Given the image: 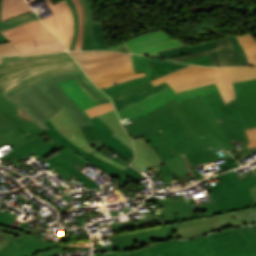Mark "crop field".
<instances>
[{
	"label": "crop field",
	"instance_id": "obj_1",
	"mask_svg": "<svg viewBox=\"0 0 256 256\" xmlns=\"http://www.w3.org/2000/svg\"><path fill=\"white\" fill-rule=\"evenodd\" d=\"M123 125L132 138L143 136L163 160L183 155L187 167L230 156L221 143L235 149L200 97L175 100ZM161 166L169 180L176 179L166 163Z\"/></svg>",
	"mask_w": 256,
	"mask_h": 256
},
{
	"label": "crop field",
	"instance_id": "obj_2",
	"mask_svg": "<svg viewBox=\"0 0 256 256\" xmlns=\"http://www.w3.org/2000/svg\"><path fill=\"white\" fill-rule=\"evenodd\" d=\"M84 75L82 70H79L45 77L21 89L8 99L18 105L43 130L48 129L44 123L63 106L82 127L90 124L89 120L74 103H70L72 101L56 82Z\"/></svg>",
	"mask_w": 256,
	"mask_h": 256
},
{
	"label": "crop field",
	"instance_id": "obj_3",
	"mask_svg": "<svg viewBox=\"0 0 256 256\" xmlns=\"http://www.w3.org/2000/svg\"><path fill=\"white\" fill-rule=\"evenodd\" d=\"M0 58V93L7 98L39 78L81 69L67 52Z\"/></svg>",
	"mask_w": 256,
	"mask_h": 256
},
{
	"label": "crop field",
	"instance_id": "obj_4",
	"mask_svg": "<svg viewBox=\"0 0 256 256\" xmlns=\"http://www.w3.org/2000/svg\"><path fill=\"white\" fill-rule=\"evenodd\" d=\"M99 52V55H96ZM81 65L85 74L100 88L145 76L135 74L131 55L114 51L69 52Z\"/></svg>",
	"mask_w": 256,
	"mask_h": 256
},
{
	"label": "crop field",
	"instance_id": "obj_5",
	"mask_svg": "<svg viewBox=\"0 0 256 256\" xmlns=\"http://www.w3.org/2000/svg\"><path fill=\"white\" fill-rule=\"evenodd\" d=\"M233 85L236 99L226 105L219 91L201 99L216 121L243 118L245 130L256 127V79Z\"/></svg>",
	"mask_w": 256,
	"mask_h": 256
},
{
	"label": "crop field",
	"instance_id": "obj_6",
	"mask_svg": "<svg viewBox=\"0 0 256 256\" xmlns=\"http://www.w3.org/2000/svg\"><path fill=\"white\" fill-rule=\"evenodd\" d=\"M167 81L176 92L211 84L216 82L225 103L234 99L233 85L228 67H205L189 65L174 73L152 81L156 86Z\"/></svg>",
	"mask_w": 256,
	"mask_h": 256
},
{
	"label": "crop field",
	"instance_id": "obj_7",
	"mask_svg": "<svg viewBox=\"0 0 256 256\" xmlns=\"http://www.w3.org/2000/svg\"><path fill=\"white\" fill-rule=\"evenodd\" d=\"M42 133L18 106L0 94V146L8 143L15 149Z\"/></svg>",
	"mask_w": 256,
	"mask_h": 256
},
{
	"label": "crop field",
	"instance_id": "obj_8",
	"mask_svg": "<svg viewBox=\"0 0 256 256\" xmlns=\"http://www.w3.org/2000/svg\"><path fill=\"white\" fill-rule=\"evenodd\" d=\"M217 177L221 183L206 189L211 193L221 213L255 206L249 189L256 184L254 175L247 174L248 178L240 180L235 171H232Z\"/></svg>",
	"mask_w": 256,
	"mask_h": 256
},
{
	"label": "crop field",
	"instance_id": "obj_9",
	"mask_svg": "<svg viewBox=\"0 0 256 256\" xmlns=\"http://www.w3.org/2000/svg\"><path fill=\"white\" fill-rule=\"evenodd\" d=\"M2 33L23 54L65 50L62 42L51 34L40 20L26 23Z\"/></svg>",
	"mask_w": 256,
	"mask_h": 256
},
{
	"label": "crop field",
	"instance_id": "obj_10",
	"mask_svg": "<svg viewBox=\"0 0 256 256\" xmlns=\"http://www.w3.org/2000/svg\"><path fill=\"white\" fill-rule=\"evenodd\" d=\"M214 256H256V234L243 226L207 235Z\"/></svg>",
	"mask_w": 256,
	"mask_h": 256
},
{
	"label": "crop field",
	"instance_id": "obj_11",
	"mask_svg": "<svg viewBox=\"0 0 256 256\" xmlns=\"http://www.w3.org/2000/svg\"><path fill=\"white\" fill-rule=\"evenodd\" d=\"M177 229H179L178 224H175L157 229L116 234L108 238L113 245L103 247L101 244H98L96 250L116 251L141 247L159 240L179 239L175 232Z\"/></svg>",
	"mask_w": 256,
	"mask_h": 256
},
{
	"label": "crop field",
	"instance_id": "obj_12",
	"mask_svg": "<svg viewBox=\"0 0 256 256\" xmlns=\"http://www.w3.org/2000/svg\"><path fill=\"white\" fill-rule=\"evenodd\" d=\"M214 91H218L215 83L179 93H176L171 87L141 103H138L126 110L119 112L118 114L121 119L128 117L131 121L174 99H176L178 102H181Z\"/></svg>",
	"mask_w": 256,
	"mask_h": 256
},
{
	"label": "crop field",
	"instance_id": "obj_13",
	"mask_svg": "<svg viewBox=\"0 0 256 256\" xmlns=\"http://www.w3.org/2000/svg\"><path fill=\"white\" fill-rule=\"evenodd\" d=\"M154 256H213L207 236L182 241H166L148 246Z\"/></svg>",
	"mask_w": 256,
	"mask_h": 256
},
{
	"label": "crop field",
	"instance_id": "obj_14",
	"mask_svg": "<svg viewBox=\"0 0 256 256\" xmlns=\"http://www.w3.org/2000/svg\"><path fill=\"white\" fill-rule=\"evenodd\" d=\"M240 225H247L246 219L235 220L232 214H224L217 217L180 223V230L176 232L180 239H186Z\"/></svg>",
	"mask_w": 256,
	"mask_h": 256
},
{
	"label": "crop field",
	"instance_id": "obj_15",
	"mask_svg": "<svg viewBox=\"0 0 256 256\" xmlns=\"http://www.w3.org/2000/svg\"><path fill=\"white\" fill-rule=\"evenodd\" d=\"M54 15L42 19V23L64 43L67 49L71 42L73 19L70 7L65 0L52 5L50 0H45Z\"/></svg>",
	"mask_w": 256,
	"mask_h": 256
},
{
	"label": "crop field",
	"instance_id": "obj_16",
	"mask_svg": "<svg viewBox=\"0 0 256 256\" xmlns=\"http://www.w3.org/2000/svg\"><path fill=\"white\" fill-rule=\"evenodd\" d=\"M126 47L139 55L159 56L157 51L183 45L170 38L163 30L151 32L125 42Z\"/></svg>",
	"mask_w": 256,
	"mask_h": 256
},
{
	"label": "crop field",
	"instance_id": "obj_17",
	"mask_svg": "<svg viewBox=\"0 0 256 256\" xmlns=\"http://www.w3.org/2000/svg\"><path fill=\"white\" fill-rule=\"evenodd\" d=\"M37 238L16 230L0 227V249L8 244L30 256H34L39 251H45L62 245L59 243H50Z\"/></svg>",
	"mask_w": 256,
	"mask_h": 256
},
{
	"label": "crop field",
	"instance_id": "obj_18",
	"mask_svg": "<svg viewBox=\"0 0 256 256\" xmlns=\"http://www.w3.org/2000/svg\"><path fill=\"white\" fill-rule=\"evenodd\" d=\"M50 129L45 131L56 143H58L61 146H64L65 148H69L71 150H75L76 153L84 157L86 160L94 164L95 166L99 167L109 175L117 178L119 181L124 183L125 185L130 183L131 181L137 179L135 176L128 174L124 172L121 169H118L92 155H89V153L85 152L84 150L80 149L76 145L70 143L68 140H66L57 130L56 128L50 123L48 120L45 123ZM116 179V180H117Z\"/></svg>",
	"mask_w": 256,
	"mask_h": 256
},
{
	"label": "crop field",
	"instance_id": "obj_19",
	"mask_svg": "<svg viewBox=\"0 0 256 256\" xmlns=\"http://www.w3.org/2000/svg\"><path fill=\"white\" fill-rule=\"evenodd\" d=\"M216 49H209L193 54H187L171 60L180 62L209 55L211 66L240 65L238 55L228 38L214 41Z\"/></svg>",
	"mask_w": 256,
	"mask_h": 256
},
{
	"label": "crop field",
	"instance_id": "obj_20",
	"mask_svg": "<svg viewBox=\"0 0 256 256\" xmlns=\"http://www.w3.org/2000/svg\"><path fill=\"white\" fill-rule=\"evenodd\" d=\"M49 120L70 142L76 144L90 154L96 151L86 141L78 122L67 112L64 107Z\"/></svg>",
	"mask_w": 256,
	"mask_h": 256
},
{
	"label": "crop field",
	"instance_id": "obj_21",
	"mask_svg": "<svg viewBox=\"0 0 256 256\" xmlns=\"http://www.w3.org/2000/svg\"><path fill=\"white\" fill-rule=\"evenodd\" d=\"M168 87H170V85L166 81L156 87L151 82H149L117 96H114L111 98V100L113 101L117 112H119Z\"/></svg>",
	"mask_w": 256,
	"mask_h": 256
},
{
	"label": "crop field",
	"instance_id": "obj_22",
	"mask_svg": "<svg viewBox=\"0 0 256 256\" xmlns=\"http://www.w3.org/2000/svg\"><path fill=\"white\" fill-rule=\"evenodd\" d=\"M133 141L136 152L133 167L142 171L163 164L161 157L143 137L135 138Z\"/></svg>",
	"mask_w": 256,
	"mask_h": 256
},
{
	"label": "crop field",
	"instance_id": "obj_23",
	"mask_svg": "<svg viewBox=\"0 0 256 256\" xmlns=\"http://www.w3.org/2000/svg\"><path fill=\"white\" fill-rule=\"evenodd\" d=\"M132 61L135 72L145 71L147 76L103 89V91L110 97L150 81L151 66L149 64L148 57L132 55Z\"/></svg>",
	"mask_w": 256,
	"mask_h": 256
},
{
	"label": "crop field",
	"instance_id": "obj_24",
	"mask_svg": "<svg viewBox=\"0 0 256 256\" xmlns=\"http://www.w3.org/2000/svg\"><path fill=\"white\" fill-rule=\"evenodd\" d=\"M92 121L94 124L91 125V127L93 128L95 134L103 144H105L112 150L120 153L126 159L133 161L134 151L132 149H130L124 143L114 138L111 135L113 132L106 126V124L101 119H99L98 117H95L92 119ZM130 156H132L133 158L132 159L128 158Z\"/></svg>",
	"mask_w": 256,
	"mask_h": 256
},
{
	"label": "crop field",
	"instance_id": "obj_25",
	"mask_svg": "<svg viewBox=\"0 0 256 256\" xmlns=\"http://www.w3.org/2000/svg\"><path fill=\"white\" fill-rule=\"evenodd\" d=\"M68 97L82 110L88 117L84 110L93 107L96 104L75 82L74 79L58 83ZM90 120L91 124L92 121Z\"/></svg>",
	"mask_w": 256,
	"mask_h": 256
},
{
	"label": "crop field",
	"instance_id": "obj_26",
	"mask_svg": "<svg viewBox=\"0 0 256 256\" xmlns=\"http://www.w3.org/2000/svg\"><path fill=\"white\" fill-rule=\"evenodd\" d=\"M218 124L223 129V131L225 132V134L230 139L233 145L238 144L241 150L248 148L246 143H248L249 140L243 130L242 119L221 121L218 122Z\"/></svg>",
	"mask_w": 256,
	"mask_h": 256
},
{
	"label": "crop field",
	"instance_id": "obj_27",
	"mask_svg": "<svg viewBox=\"0 0 256 256\" xmlns=\"http://www.w3.org/2000/svg\"><path fill=\"white\" fill-rule=\"evenodd\" d=\"M209 201L194 203L192 198L185 199L190 208L192 215H177L178 222L185 221L193 218L206 217L219 214L218 208L212 199L211 195L208 194Z\"/></svg>",
	"mask_w": 256,
	"mask_h": 256
},
{
	"label": "crop field",
	"instance_id": "obj_28",
	"mask_svg": "<svg viewBox=\"0 0 256 256\" xmlns=\"http://www.w3.org/2000/svg\"><path fill=\"white\" fill-rule=\"evenodd\" d=\"M147 201H156L164 207L167 224L177 222L176 214H191L184 199L155 200L154 196H151Z\"/></svg>",
	"mask_w": 256,
	"mask_h": 256
},
{
	"label": "crop field",
	"instance_id": "obj_29",
	"mask_svg": "<svg viewBox=\"0 0 256 256\" xmlns=\"http://www.w3.org/2000/svg\"><path fill=\"white\" fill-rule=\"evenodd\" d=\"M98 117L101 118L107 124V126L114 132L112 134L113 136H115L117 139L124 142L126 145L133 149L131 139L129 138L125 130L122 128L115 110L104 113Z\"/></svg>",
	"mask_w": 256,
	"mask_h": 256
},
{
	"label": "crop field",
	"instance_id": "obj_30",
	"mask_svg": "<svg viewBox=\"0 0 256 256\" xmlns=\"http://www.w3.org/2000/svg\"><path fill=\"white\" fill-rule=\"evenodd\" d=\"M33 12L25 0H2L1 2V21Z\"/></svg>",
	"mask_w": 256,
	"mask_h": 256
},
{
	"label": "crop field",
	"instance_id": "obj_31",
	"mask_svg": "<svg viewBox=\"0 0 256 256\" xmlns=\"http://www.w3.org/2000/svg\"><path fill=\"white\" fill-rule=\"evenodd\" d=\"M149 59L152 65L151 81L187 66L185 64L173 63L168 60L161 62V59L153 57H149Z\"/></svg>",
	"mask_w": 256,
	"mask_h": 256
},
{
	"label": "crop field",
	"instance_id": "obj_32",
	"mask_svg": "<svg viewBox=\"0 0 256 256\" xmlns=\"http://www.w3.org/2000/svg\"><path fill=\"white\" fill-rule=\"evenodd\" d=\"M81 3L85 12L84 38L82 50H93L90 31V25L95 23L93 18V12L90 9L91 5L88 3V0H81Z\"/></svg>",
	"mask_w": 256,
	"mask_h": 256
},
{
	"label": "crop field",
	"instance_id": "obj_33",
	"mask_svg": "<svg viewBox=\"0 0 256 256\" xmlns=\"http://www.w3.org/2000/svg\"><path fill=\"white\" fill-rule=\"evenodd\" d=\"M41 138V137H40ZM39 137L28 142L27 144L11 151L10 153L4 155L3 157H1L0 159L3 162H8L9 160H11L12 158H14L15 156L18 158H23L26 155L30 154L31 152H33L34 150H36L37 148H39L40 146L46 144L44 141H42Z\"/></svg>",
	"mask_w": 256,
	"mask_h": 256
},
{
	"label": "crop field",
	"instance_id": "obj_34",
	"mask_svg": "<svg viewBox=\"0 0 256 256\" xmlns=\"http://www.w3.org/2000/svg\"><path fill=\"white\" fill-rule=\"evenodd\" d=\"M209 48H215L213 41L209 42V43H205V44L192 46V47L180 46V47L160 51L158 53L162 57L171 58V57H175V56H179V55H183V54H187V53H193V52H196V51L209 49Z\"/></svg>",
	"mask_w": 256,
	"mask_h": 256
},
{
	"label": "crop field",
	"instance_id": "obj_35",
	"mask_svg": "<svg viewBox=\"0 0 256 256\" xmlns=\"http://www.w3.org/2000/svg\"><path fill=\"white\" fill-rule=\"evenodd\" d=\"M246 52L249 65L256 66V40L251 34L236 36Z\"/></svg>",
	"mask_w": 256,
	"mask_h": 256
},
{
	"label": "crop field",
	"instance_id": "obj_36",
	"mask_svg": "<svg viewBox=\"0 0 256 256\" xmlns=\"http://www.w3.org/2000/svg\"><path fill=\"white\" fill-rule=\"evenodd\" d=\"M59 157L68 162L70 165L78 170H82L87 164H90L84 158L76 154L74 151L64 149L60 153H57Z\"/></svg>",
	"mask_w": 256,
	"mask_h": 256
},
{
	"label": "crop field",
	"instance_id": "obj_37",
	"mask_svg": "<svg viewBox=\"0 0 256 256\" xmlns=\"http://www.w3.org/2000/svg\"><path fill=\"white\" fill-rule=\"evenodd\" d=\"M94 50L109 49V45L102 31L101 23L96 22L91 26Z\"/></svg>",
	"mask_w": 256,
	"mask_h": 256
},
{
	"label": "crop field",
	"instance_id": "obj_38",
	"mask_svg": "<svg viewBox=\"0 0 256 256\" xmlns=\"http://www.w3.org/2000/svg\"><path fill=\"white\" fill-rule=\"evenodd\" d=\"M232 80L241 81L256 78V67H229Z\"/></svg>",
	"mask_w": 256,
	"mask_h": 256
},
{
	"label": "crop field",
	"instance_id": "obj_39",
	"mask_svg": "<svg viewBox=\"0 0 256 256\" xmlns=\"http://www.w3.org/2000/svg\"><path fill=\"white\" fill-rule=\"evenodd\" d=\"M0 2H1V0H0ZM37 19H38V17L36 15V13H32V14L29 13V14L21 15V16L1 22L0 23V31H4V30L10 29V28L19 26L21 24H24L26 22L37 20Z\"/></svg>",
	"mask_w": 256,
	"mask_h": 256
},
{
	"label": "crop field",
	"instance_id": "obj_40",
	"mask_svg": "<svg viewBox=\"0 0 256 256\" xmlns=\"http://www.w3.org/2000/svg\"><path fill=\"white\" fill-rule=\"evenodd\" d=\"M167 164L169 167L172 169L174 172L175 176L177 178L185 177L184 175L190 173L188 168L186 167L183 157H176V158H171L166 160ZM186 179V177H185Z\"/></svg>",
	"mask_w": 256,
	"mask_h": 256
},
{
	"label": "crop field",
	"instance_id": "obj_41",
	"mask_svg": "<svg viewBox=\"0 0 256 256\" xmlns=\"http://www.w3.org/2000/svg\"><path fill=\"white\" fill-rule=\"evenodd\" d=\"M79 86L98 104L109 102L105 97L98 93L83 77L75 79Z\"/></svg>",
	"mask_w": 256,
	"mask_h": 256
},
{
	"label": "crop field",
	"instance_id": "obj_42",
	"mask_svg": "<svg viewBox=\"0 0 256 256\" xmlns=\"http://www.w3.org/2000/svg\"><path fill=\"white\" fill-rule=\"evenodd\" d=\"M64 167H66L70 172H72L75 176L78 177L79 180H81L88 188H96L98 189V185L95 181L89 179L87 176L82 174L80 171L74 169L72 166H70L68 163L62 161L60 162ZM99 190V189H98ZM101 191V190H99Z\"/></svg>",
	"mask_w": 256,
	"mask_h": 256
},
{
	"label": "crop field",
	"instance_id": "obj_43",
	"mask_svg": "<svg viewBox=\"0 0 256 256\" xmlns=\"http://www.w3.org/2000/svg\"><path fill=\"white\" fill-rule=\"evenodd\" d=\"M73 2L75 3L76 9H77L78 14H79V33H78L77 43L75 45V50H81L82 38H83L84 13H83V9H82L80 1L79 0H73Z\"/></svg>",
	"mask_w": 256,
	"mask_h": 256
},
{
	"label": "crop field",
	"instance_id": "obj_44",
	"mask_svg": "<svg viewBox=\"0 0 256 256\" xmlns=\"http://www.w3.org/2000/svg\"><path fill=\"white\" fill-rule=\"evenodd\" d=\"M114 109L111 103H103L100 105H97L93 108H90L88 110H86L87 114L90 116V118L94 117V116H98L104 112H107L109 110Z\"/></svg>",
	"mask_w": 256,
	"mask_h": 256
},
{
	"label": "crop field",
	"instance_id": "obj_45",
	"mask_svg": "<svg viewBox=\"0 0 256 256\" xmlns=\"http://www.w3.org/2000/svg\"><path fill=\"white\" fill-rule=\"evenodd\" d=\"M66 1L72 9L73 18H74V32H73V38H72L71 46H70V49H69V50H74V45L76 43L77 32H78V14L75 10V7H74V4H73L72 0H66Z\"/></svg>",
	"mask_w": 256,
	"mask_h": 256
},
{
	"label": "crop field",
	"instance_id": "obj_46",
	"mask_svg": "<svg viewBox=\"0 0 256 256\" xmlns=\"http://www.w3.org/2000/svg\"><path fill=\"white\" fill-rule=\"evenodd\" d=\"M22 54L11 42L0 44V56Z\"/></svg>",
	"mask_w": 256,
	"mask_h": 256
},
{
	"label": "crop field",
	"instance_id": "obj_47",
	"mask_svg": "<svg viewBox=\"0 0 256 256\" xmlns=\"http://www.w3.org/2000/svg\"><path fill=\"white\" fill-rule=\"evenodd\" d=\"M230 41L232 42V44L234 45L235 49L238 52L239 58H240V64L241 65H248L247 62V57L243 51V49L241 48L238 40L236 39V37H229Z\"/></svg>",
	"mask_w": 256,
	"mask_h": 256
},
{
	"label": "crop field",
	"instance_id": "obj_48",
	"mask_svg": "<svg viewBox=\"0 0 256 256\" xmlns=\"http://www.w3.org/2000/svg\"><path fill=\"white\" fill-rule=\"evenodd\" d=\"M236 219L247 218L248 222L256 220V208L233 213Z\"/></svg>",
	"mask_w": 256,
	"mask_h": 256
},
{
	"label": "crop field",
	"instance_id": "obj_49",
	"mask_svg": "<svg viewBox=\"0 0 256 256\" xmlns=\"http://www.w3.org/2000/svg\"><path fill=\"white\" fill-rule=\"evenodd\" d=\"M224 161L225 162L218 163V166L220 167L221 170L218 171L217 173H219L221 171H224V170H228V169L239 167L238 163L234 160V158L232 156L224 158ZM208 164H210V163H207V165Z\"/></svg>",
	"mask_w": 256,
	"mask_h": 256
},
{
	"label": "crop field",
	"instance_id": "obj_50",
	"mask_svg": "<svg viewBox=\"0 0 256 256\" xmlns=\"http://www.w3.org/2000/svg\"><path fill=\"white\" fill-rule=\"evenodd\" d=\"M0 256H27L9 246H5L0 250Z\"/></svg>",
	"mask_w": 256,
	"mask_h": 256
},
{
	"label": "crop field",
	"instance_id": "obj_51",
	"mask_svg": "<svg viewBox=\"0 0 256 256\" xmlns=\"http://www.w3.org/2000/svg\"><path fill=\"white\" fill-rule=\"evenodd\" d=\"M62 253H66L62 246L47 250L45 252L37 253L35 256H56Z\"/></svg>",
	"mask_w": 256,
	"mask_h": 256
},
{
	"label": "crop field",
	"instance_id": "obj_52",
	"mask_svg": "<svg viewBox=\"0 0 256 256\" xmlns=\"http://www.w3.org/2000/svg\"><path fill=\"white\" fill-rule=\"evenodd\" d=\"M113 232H118V231H127V230H133V229H139L138 225L136 222L133 223H128V224H123L119 226H114L112 227Z\"/></svg>",
	"mask_w": 256,
	"mask_h": 256
},
{
	"label": "crop field",
	"instance_id": "obj_53",
	"mask_svg": "<svg viewBox=\"0 0 256 256\" xmlns=\"http://www.w3.org/2000/svg\"><path fill=\"white\" fill-rule=\"evenodd\" d=\"M15 218L7 215L6 213L0 211V226L9 228L11 223L14 221Z\"/></svg>",
	"mask_w": 256,
	"mask_h": 256
},
{
	"label": "crop field",
	"instance_id": "obj_54",
	"mask_svg": "<svg viewBox=\"0 0 256 256\" xmlns=\"http://www.w3.org/2000/svg\"><path fill=\"white\" fill-rule=\"evenodd\" d=\"M130 256H152V254L150 253L147 247H143V248L131 251Z\"/></svg>",
	"mask_w": 256,
	"mask_h": 256
},
{
	"label": "crop field",
	"instance_id": "obj_55",
	"mask_svg": "<svg viewBox=\"0 0 256 256\" xmlns=\"http://www.w3.org/2000/svg\"><path fill=\"white\" fill-rule=\"evenodd\" d=\"M65 239H66V242L85 241V240H89V236L88 234H84V235L65 237Z\"/></svg>",
	"mask_w": 256,
	"mask_h": 256
},
{
	"label": "crop field",
	"instance_id": "obj_56",
	"mask_svg": "<svg viewBox=\"0 0 256 256\" xmlns=\"http://www.w3.org/2000/svg\"><path fill=\"white\" fill-rule=\"evenodd\" d=\"M184 63H196V64H204V65H209L210 66V62H209L208 56L207 57H203V58L189 60V61H184Z\"/></svg>",
	"mask_w": 256,
	"mask_h": 256
},
{
	"label": "crop field",
	"instance_id": "obj_57",
	"mask_svg": "<svg viewBox=\"0 0 256 256\" xmlns=\"http://www.w3.org/2000/svg\"><path fill=\"white\" fill-rule=\"evenodd\" d=\"M64 249H77V248H85L90 247L89 243H82V244H65Z\"/></svg>",
	"mask_w": 256,
	"mask_h": 256
},
{
	"label": "crop field",
	"instance_id": "obj_58",
	"mask_svg": "<svg viewBox=\"0 0 256 256\" xmlns=\"http://www.w3.org/2000/svg\"><path fill=\"white\" fill-rule=\"evenodd\" d=\"M250 141H256V128L255 129H251V130H247L246 131Z\"/></svg>",
	"mask_w": 256,
	"mask_h": 256
},
{
	"label": "crop field",
	"instance_id": "obj_59",
	"mask_svg": "<svg viewBox=\"0 0 256 256\" xmlns=\"http://www.w3.org/2000/svg\"><path fill=\"white\" fill-rule=\"evenodd\" d=\"M46 161H48L50 164H52L54 166L58 162L62 161V159L59 158L57 155H54L53 157L47 159Z\"/></svg>",
	"mask_w": 256,
	"mask_h": 256
},
{
	"label": "crop field",
	"instance_id": "obj_60",
	"mask_svg": "<svg viewBox=\"0 0 256 256\" xmlns=\"http://www.w3.org/2000/svg\"><path fill=\"white\" fill-rule=\"evenodd\" d=\"M202 165H203V164L197 165V166H194V167H190V170L192 171V173L196 176V178H197L198 180H200V179H202V178H204V177L202 176L201 173H199V171H198L197 169L193 170V168L199 167V166H202Z\"/></svg>",
	"mask_w": 256,
	"mask_h": 256
},
{
	"label": "crop field",
	"instance_id": "obj_61",
	"mask_svg": "<svg viewBox=\"0 0 256 256\" xmlns=\"http://www.w3.org/2000/svg\"><path fill=\"white\" fill-rule=\"evenodd\" d=\"M253 174L256 177V170L253 171ZM250 189H251V192H252V195H253V198H254V201H255V205H256V185L254 187L250 188Z\"/></svg>",
	"mask_w": 256,
	"mask_h": 256
},
{
	"label": "crop field",
	"instance_id": "obj_62",
	"mask_svg": "<svg viewBox=\"0 0 256 256\" xmlns=\"http://www.w3.org/2000/svg\"><path fill=\"white\" fill-rule=\"evenodd\" d=\"M9 41L1 32H0V43Z\"/></svg>",
	"mask_w": 256,
	"mask_h": 256
},
{
	"label": "crop field",
	"instance_id": "obj_63",
	"mask_svg": "<svg viewBox=\"0 0 256 256\" xmlns=\"http://www.w3.org/2000/svg\"><path fill=\"white\" fill-rule=\"evenodd\" d=\"M98 92H100L102 95H104L109 101H110V99L105 95V94H103L101 91H99L97 88H96V86L95 85H93L89 80H88V78L85 76L84 77ZM111 102V101H110Z\"/></svg>",
	"mask_w": 256,
	"mask_h": 256
},
{
	"label": "crop field",
	"instance_id": "obj_64",
	"mask_svg": "<svg viewBox=\"0 0 256 256\" xmlns=\"http://www.w3.org/2000/svg\"><path fill=\"white\" fill-rule=\"evenodd\" d=\"M115 51L130 53V52L126 49V47L121 48V49H117V50H115Z\"/></svg>",
	"mask_w": 256,
	"mask_h": 256
},
{
	"label": "crop field",
	"instance_id": "obj_65",
	"mask_svg": "<svg viewBox=\"0 0 256 256\" xmlns=\"http://www.w3.org/2000/svg\"><path fill=\"white\" fill-rule=\"evenodd\" d=\"M121 47H124V44L116 46V47L110 46L111 50H114V49H117V48H121Z\"/></svg>",
	"mask_w": 256,
	"mask_h": 256
},
{
	"label": "crop field",
	"instance_id": "obj_66",
	"mask_svg": "<svg viewBox=\"0 0 256 256\" xmlns=\"http://www.w3.org/2000/svg\"><path fill=\"white\" fill-rule=\"evenodd\" d=\"M248 146H249V148L256 147V142L249 143Z\"/></svg>",
	"mask_w": 256,
	"mask_h": 256
},
{
	"label": "crop field",
	"instance_id": "obj_67",
	"mask_svg": "<svg viewBox=\"0 0 256 256\" xmlns=\"http://www.w3.org/2000/svg\"><path fill=\"white\" fill-rule=\"evenodd\" d=\"M107 253H95V256H106Z\"/></svg>",
	"mask_w": 256,
	"mask_h": 256
},
{
	"label": "crop field",
	"instance_id": "obj_68",
	"mask_svg": "<svg viewBox=\"0 0 256 256\" xmlns=\"http://www.w3.org/2000/svg\"><path fill=\"white\" fill-rule=\"evenodd\" d=\"M129 252H130V251L123 252V255H122V256H129Z\"/></svg>",
	"mask_w": 256,
	"mask_h": 256
},
{
	"label": "crop field",
	"instance_id": "obj_69",
	"mask_svg": "<svg viewBox=\"0 0 256 256\" xmlns=\"http://www.w3.org/2000/svg\"><path fill=\"white\" fill-rule=\"evenodd\" d=\"M117 253H108L107 256H116Z\"/></svg>",
	"mask_w": 256,
	"mask_h": 256
},
{
	"label": "crop field",
	"instance_id": "obj_70",
	"mask_svg": "<svg viewBox=\"0 0 256 256\" xmlns=\"http://www.w3.org/2000/svg\"><path fill=\"white\" fill-rule=\"evenodd\" d=\"M249 224H256V221L249 222L248 225H249Z\"/></svg>",
	"mask_w": 256,
	"mask_h": 256
},
{
	"label": "crop field",
	"instance_id": "obj_71",
	"mask_svg": "<svg viewBox=\"0 0 256 256\" xmlns=\"http://www.w3.org/2000/svg\"><path fill=\"white\" fill-rule=\"evenodd\" d=\"M122 252H118L117 256H121Z\"/></svg>",
	"mask_w": 256,
	"mask_h": 256
},
{
	"label": "crop field",
	"instance_id": "obj_72",
	"mask_svg": "<svg viewBox=\"0 0 256 256\" xmlns=\"http://www.w3.org/2000/svg\"><path fill=\"white\" fill-rule=\"evenodd\" d=\"M253 228H254V230H255V232H256V225H253Z\"/></svg>",
	"mask_w": 256,
	"mask_h": 256
},
{
	"label": "crop field",
	"instance_id": "obj_73",
	"mask_svg": "<svg viewBox=\"0 0 256 256\" xmlns=\"http://www.w3.org/2000/svg\"><path fill=\"white\" fill-rule=\"evenodd\" d=\"M1 62V61H0Z\"/></svg>",
	"mask_w": 256,
	"mask_h": 256
}]
</instances>
